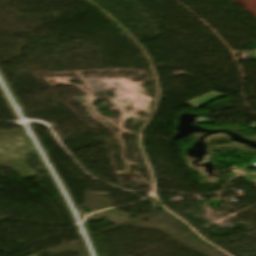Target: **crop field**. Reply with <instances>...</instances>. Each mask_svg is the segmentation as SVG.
<instances>
[{"label":"crop field","instance_id":"1","mask_svg":"<svg viewBox=\"0 0 256 256\" xmlns=\"http://www.w3.org/2000/svg\"><path fill=\"white\" fill-rule=\"evenodd\" d=\"M220 96H222V95L210 92V93L205 94L203 96H200L196 99H193V100H191V101H189L185 104L194 108V109H196V108H198V107H200V106H202V105H204V104H206V103H208V102H210V101H212V100H214V99H216Z\"/></svg>","mask_w":256,"mask_h":256},{"label":"crop field","instance_id":"2","mask_svg":"<svg viewBox=\"0 0 256 256\" xmlns=\"http://www.w3.org/2000/svg\"><path fill=\"white\" fill-rule=\"evenodd\" d=\"M247 11L256 16V0H234Z\"/></svg>","mask_w":256,"mask_h":256}]
</instances>
